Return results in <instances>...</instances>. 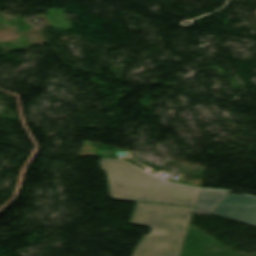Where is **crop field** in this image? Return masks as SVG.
I'll use <instances>...</instances> for the list:
<instances>
[{
  "instance_id": "crop-field-1",
  "label": "crop field",
  "mask_w": 256,
  "mask_h": 256,
  "mask_svg": "<svg viewBox=\"0 0 256 256\" xmlns=\"http://www.w3.org/2000/svg\"><path fill=\"white\" fill-rule=\"evenodd\" d=\"M113 199L195 206L200 190L163 182L120 160L101 159Z\"/></svg>"
},
{
  "instance_id": "crop-field-3",
  "label": "crop field",
  "mask_w": 256,
  "mask_h": 256,
  "mask_svg": "<svg viewBox=\"0 0 256 256\" xmlns=\"http://www.w3.org/2000/svg\"><path fill=\"white\" fill-rule=\"evenodd\" d=\"M213 214L256 226V199L244 195H228Z\"/></svg>"
},
{
  "instance_id": "crop-field-4",
  "label": "crop field",
  "mask_w": 256,
  "mask_h": 256,
  "mask_svg": "<svg viewBox=\"0 0 256 256\" xmlns=\"http://www.w3.org/2000/svg\"><path fill=\"white\" fill-rule=\"evenodd\" d=\"M228 194L224 190L202 189L194 213L211 215Z\"/></svg>"
},
{
  "instance_id": "crop-field-2",
  "label": "crop field",
  "mask_w": 256,
  "mask_h": 256,
  "mask_svg": "<svg viewBox=\"0 0 256 256\" xmlns=\"http://www.w3.org/2000/svg\"><path fill=\"white\" fill-rule=\"evenodd\" d=\"M194 209L137 203L130 223L152 229L132 256H179Z\"/></svg>"
}]
</instances>
